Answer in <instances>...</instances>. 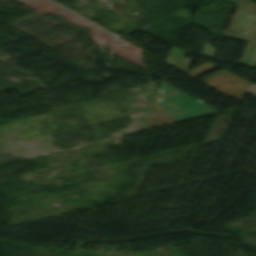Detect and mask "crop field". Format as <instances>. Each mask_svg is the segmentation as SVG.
Listing matches in <instances>:
<instances>
[{
	"label": "crop field",
	"instance_id": "obj_6",
	"mask_svg": "<svg viewBox=\"0 0 256 256\" xmlns=\"http://www.w3.org/2000/svg\"><path fill=\"white\" fill-rule=\"evenodd\" d=\"M214 67H216V66H214L212 64L205 63V64H203V65H201V66H199V67H197V68L187 72L186 74H188V75H190V76L195 78V77L205 73L206 71H208V70H210V69H212Z\"/></svg>",
	"mask_w": 256,
	"mask_h": 256
},
{
	"label": "crop field",
	"instance_id": "obj_5",
	"mask_svg": "<svg viewBox=\"0 0 256 256\" xmlns=\"http://www.w3.org/2000/svg\"><path fill=\"white\" fill-rule=\"evenodd\" d=\"M185 55L186 53L176 48H171L165 62L171 64L183 72H187L193 60L184 58Z\"/></svg>",
	"mask_w": 256,
	"mask_h": 256
},
{
	"label": "crop field",
	"instance_id": "obj_2",
	"mask_svg": "<svg viewBox=\"0 0 256 256\" xmlns=\"http://www.w3.org/2000/svg\"><path fill=\"white\" fill-rule=\"evenodd\" d=\"M202 80L204 82L199 81L239 100L249 85L248 80L234 76L224 70L221 72L217 71Z\"/></svg>",
	"mask_w": 256,
	"mask_h": 256
},
{
	"label": "crop field",
	"instance_id": "obj_3",
	"mask_svg": "<svg viewBox=\"0 0 256 256\" xmlns=\"http://www.w3.org/2000/svg\"><path fill=\"white\" fill-rule=\"evenodd\" d=\"M228 31L256 37V16L238 9Z\"/></svg>",
	"mask_w": 256,
	"mask_h": 256
},
{
	"label": "crop field",
	"instance_id": "obj_1",
	"mask_svg": "<svg viewBox=\"0 0 256 256\" xmlns=\"http://www.w3.org/2000/svg\"><path fill=\"white\" fill-rule=\"evenodd\" d=\"M160 90V108L177 122L219 112L165 82H161Z\"/></svg>",
	"mask_w": 256,
	"mask_h": 256
},
{
	"label": "crop field",
	"instance_id": "obj_4",
	"mask_svg": "<svg viewBox=\"0 0 256 256\" xmlns=\"http://www.w3.org/2000/svg\"><path fill=\"white\" fill-rule=\"evenodd\" d=\"M224 37L248 42L238 64L252 67L256 66V38L230 32H227Z\"/></svg>",
	"mask_w": 256,
	"mask_h": 256
},
{
	"label": "crop field",
	"instance_id": "obj_7",
	"mask_svg": "<svg viewBox=\"0 0 256 256\" xmlns=\"http://www.w3.org/2000/svg\"><path fill=\"white\" fill-rule=\"evenodd\" d=\"M214 51H215V49L214 48H210L208 43L206 42L201 54L211 57V56H213Z\"/></svg>",
	"mask_w": 256,
	"mask_h": 256
}]
</instances>
